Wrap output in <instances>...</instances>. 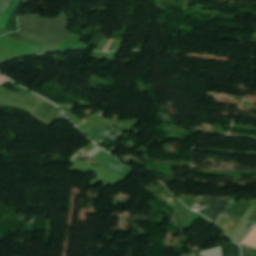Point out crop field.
Returning a JSON list of instances; mask_svg holds the SVG:
<instances>
[{"mask_svg": "<svg viewBox=\"0 0 256 256\" xmlns=\"http://www.w3.org/2000/svg\"><path fill=\"white\" fill-rule=\"evenodd\" d=\"M19 34L32 40L47 44L42 52L55 51L73 33L69 32L67 15L53 20L34 16L18 17Z\"/></svg>", "mask_w": 256, "mask_h": 256, "instance_id": "8a807250", "label": "crop field"}, {"mask_svg": "<svg viewBox=\"0 0 256 256\" xmlns=\"http://www.w3.org/2000/svg\"><path fill=\"white\" fill-rule=\"evenodd\" d=\"M42 100L35 95L22 96L0 85V102L12 108H22L32 113Z\"/></svg>", "mask_w": 256, "mask_h": 256, "instance_id": "ac0d7876", "label": "crop field"}, {"mask_svg": "<svg viewBox=\"0 0 256 256\" xmlns=\"http://www.w3.org/2000/svg\"><path fill=\"white\" fill-rule=\"evenodd\" d=\"M60 113L61 111L56 106L43 100L32 115L50 126Z\"/></svg>", "mask_w": 256, "mask_h": 256, "instance_id": "34b2d1b8", "label": "crop field"}, {"mask_svg": "<svg viewBox=\"0 0 256 256\" xmlns=\"http://www.w3.org/2000/svg\"><path fill=\"white\" fill-rule=\"evenodd\" d=\"M230 199L231 197L217 198L205 195L202 203L211 205L205 216L209 217L216 223L219 215L221 214L222 210L224 209V207L226 206Z\"/></svg>", "mask_w": 256, "mask_h": 256, "instance_id": "412701ff", "label": "crop field"}, {"mask_svg": "<svg viewBox=\"0 0 256 256\" xmlns=\"http://www.w3.org/2000/svg\"><path fill=\"white\" fill-rule=\"evenodd\" d=\"M103 168L126 177L133 171L113 157L103 166Z\"/></svg>", "mask_w": 256, "mask_h": 256, "instance_id": "f4fd0767", "label": "crop field"}, {"mask_svg": "<svg viewBox=\"0 0 256 256\" xmlns=\"http://www.w3.org/2000/svg\"><path fill=\"white\" fill-rule=\"evenodd\" d=\"M25 0H20L19 3L17 4L15 10L13 11V13L11 14L5 29H8L10 31H17V13L19 12V10L22 8V6L24 5Z\"/></svg>", "mask_w": 256, "mask_h": 256, "instance_id": "dd49c442", "label": "crop field"}, {"mask_svg": "<svg viewBox=\"0 0 256 256\" xmlns=\"http://www.w3.org/2000/svg\"><path fill=\"white\" fill-rule=\"evenodd\" d=\"M223 256H240V248L234 243L222 246Z\"/></svg>", "mask_w": 256, "mask_h": 256, "instance_id": "e52e79f7", "label": "crop field"}, {"mask_svg": "<svg viewBox=\"0 0 256 256\" xmlns=\"http://www.w3.org/2000/svg\"><path fill=\"white\" fill-rule=\"evenodd\" d=\"M107 126L99 125L97 124L88 134L94 142L98 140V138L101 136V134L107 129Z\"/></svg>", "mask_w": 256, "mask_h": 256, "instance_id": "d8731c3e", "label": "crop field"}, {"mask_svg": "<svg viewBox=\"0 0 256 256\" xmlns=\"http://www.w3.org/2000/svg\"><path fill=\"white\" fill-rule=\"evenodd\" d=\"M18 0H11L10 4L8 5L5 13L3 14L2 18L0 19V27L4 28L10 14L12 13L14 7L16 6Z\"/></svg>", "mask_w": 256, "mask_h": 256, "instance_id": "5a996713", "label": "crop field"}, {"mask_svg": "<svg viewBox=\"0 0 256 256\" xmlns=\"http://www.w3.org/2000/svg\"><path fill=\"white\" fill-rule=\"evenodd\" d=\"M5 36L17 39V40L22 41L24 43H27V44H30V45H33V46H37V47H40V48H42L44 46V44H41V43H38V42H35V41H32V40H29L27 38L18 36V35L13 34V33H10V34L5 35Z\"/></svg>", "mask_w": 256, "mask_h": 256, "instance_id": "3316defc", "label": "crop field"}, {"mask_svg": "<svg viewBox=\"0 0 256 256\" xmlns=\"http://www.w3.org/2000/svg\"><path fill=\"white\" fill-rule=\"evenodd\" d=\"M242 244L249 245L256 247V226L255 228L250 232V234L244 239Z\"/></svg>", "mask_w": 256, "mask_h": 256, "instance_id": "28ad6ade", "label": "crop field"}, {"mask_svg": "<svg viewBox=\"0 0 256 256\" xmlns=\"http://www.w3.org/2000/svg\"><path fill=\"white\" fill-rule=\"evenodd\" d=\"M203 218L204 220L208 221L209 223H212L210 222L209 220H207L206 218H204L203 216L197 214V213H193L191 215V217L186 221L184 222V225H185V229H187L188 227H190L196 220H198L199 218Z\"/></svg>", "mask_w": 256, "mask_h": 256, "instance_id": "d1516ede", "label": "crop field"}, {"mask_svg": "<svg viewBox=\"0 0 256 256\" xmlns=\"http://www.w3.org/2000/svg\"><path fill=\"white\" fill-rule=\"evenodd\" d=\"M242 256H256V250L245 248L242 246Z\"/></svg>", "mask_w": 256, "mask_h": 256, "instance_id": "22f410ed", "label": "crop field"}, {"mask_svg": "<svg viewBox=\"0 0 256 256\" xmlns=\"http://www.w3.org/2000/svg\"><path fill=\"white\" fill-rule=\"evenodd\" d=\"M10 0H0V18L4 13L7 5L9 4Z\"/></svg>", "mask_w": 256, "mask_h": 256, "instance_id": "cbeb9de0", "label": "crop field"}, {"mask_svg": "<svg viewBox=\"0 0 256 256\" xmlns=\"http://www.w3.org/2000/svg\"><path fill=\"white\" fill-rule=\"evenodd\" d=\"M113 42V40H110V42L107 44L106 48L104 49V51H107V49L109 48V46L111 45V43ZM116 40H114V42L112 43V45L110 46V48L108 49V51H111L113 45L115 44Z\"/></svg>", "mask_w": 256, "mask_h": 256, "instance_id": "5142ce71", "label": "crop field"}, {"mask_svg": "<svg viewBox=\"0 0 256 256\" xmlns=\"http://www.w3.org/2000/svg\"><path fill=\"white\" fill-rule=\"evenodd\" d=\"M109 53H104L102 52L101 56L99 57V59H104V58H107Z\"/></svg>", "mask_w": 256, "mask_h": 256, "instance_id": "d9b57169", "label": "crop field"}]
</instances>
